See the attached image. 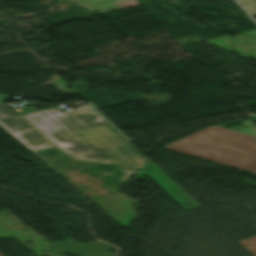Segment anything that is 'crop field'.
<instances>
[{
    "mask_svg": "<svg viewBox=\"0 0 256 256\" xmlns=\"http://www.w3.org/2000/svg\"><path fill=\"white\" fill-rule=\"evenodd\" d=\"M239 3H243L248 12L253 15L256 14V0H238Z\"/></svg>",
    "mask_w": 256,
    "mask_h": 256,
    "instance_id": "crop-field-4",
    "label": "crop field"
},
{
    "mask_svg": "<svg viewBox=\"0 0 256 256\" xmlns=\"http://www.w3.org/2000/svg\"><path fill=\"white\" fill-rule=\"evenodd\" d=\"M206 132H210V133H212V132H211V131H209V130H208V131H206Z\"/></svg>",
    "mask_w": 256,
    "mask_h": 256,
    "instance_id": "crop-field-7",
    "label": "crop field"
},
{
    "mask_svg": "<svg viewBox=\"0 0 256 256\" xmlns=\"http://www.w3.org/2000/svg\"><path fill=\"white\" fill-rule=\"evenodd\" d=\"M0 126L31 151L54 146L3 104H0Z\"/></svg>",
    "mask_w": 256,
    "mask_h": 256,
    "instance_id": "crop-field-3",
    "label": "crop field"
},
{
    "mask_svg": "<svg viewBox=\"0 0 256 256\" xmlns=\"http://www.w3.org/2000/svg\"><path fill=\"white\" fill-rule=\"evenodd\" d=\"M73 159L116 163L128 176L150 160L89 105L22 115Z\"/></svg>",
    "mask_w": 256,
    "mask_h": 256,
    "instance_id": "crop-field-1",
    "label": "crop field"
},
{
    "mask_svg": "<svg viewBox=\"0 0 256 256\" xmlns=\"http://www.w3.org/2000/svg\"><path fill=\"white\" fill-rule=\"evenodd\" d=\"M207 129L213 133L204 132ZM165 149L256 173V137L217 125L173 142Z\"/></svg>",
    "mask_w": 256,
    "mask_h": 256,
    "instance_id": "crop-field-2",
    "label": "crop field"
},
{
    "mask_svg": "<svg viewBox=\"0 0 256 256\" xmlns=\"http://www.w3.org/2000/svg\"><path fill=\"white\" fill-rule=\"evenodd\" d=\"M6 98H7L6 95H1V94H0V102H1V103H3Z\"/></svg>",
    "mask_w": 256,
    "mask_h": 256,
    "instance_id": "crop-field-6",
    "label": "crop field"
},
{
    "mask_svg": "<svg viewBox=\"0 0 256 256\" xmlns=\"http://www.w3.org/2000/svg\"><path fill=\"white\" fill-rule=\"evenodd\" d=\"M243 124L246 125L249 129L239 131V132H243V133H247V134L256 136V127L250 121L244 122Z\"/></svg>",
    "mask_w": 256,
    "mask_h": 256,
    "instance_id": "crop-field-5",
    "label": "crop field"
}]
</instances>
